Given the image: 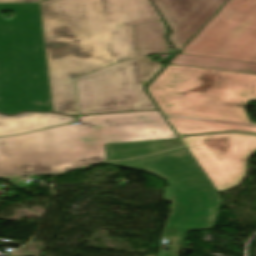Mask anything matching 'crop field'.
Masks as SVG:
<instances>
[{
	"label": "crop field",
	"mask_w": 256,
	"mask_h": 256,
	"mask_svg": "<svg viewBox=\"0 0 256 256\" xmlns=\"http://www.w3.org/2000/svg\"><path fill=\"white\" fill-rule=\"evenodd\" d=\"M79 121L0 138V177L58 173L103 162L104 144L177 138L158 110L88 115Z\"/></svg>",
	"instance_id": "crop-field-1"
},
{
	"label": "crop field",
	"mask_w": 256,
	"mask_h": 256,
	"mask_svg": "<svg viewBox=\"0 0 256 256\" xmlns=\"http://www.w3.org/2000/svg\"><path fill=\"white\" fill-rule=\"evenodd\" d=\"M0 113L53 111L39 3L0 4Z\"/></svg>",
	"instance_id": "crop-field-2"
},
{
	"label": "crop field",
	"mask_w": 256,
	"mask_h": 256,
	"mask_svg": "<svg viewBox=\"0 0 256 256\" xmlns=\"http://www.w3.org/2000/svg\"><path fill=\"white\" fill-rule=\"evenodd\" d=\"M145 90L163 115L256 125L244 111L254 75L167 65Z\"/></svg>",
	"instance_id": "crop-field-3"
},
{
	"label": "crop field",
	"mask_w": 256,
	"mask_h": 256,
	"mask_svg": "<svg viewBox=\"0 0 256 256\" xmlns=\"http://www.w3.org/2000/svg\"><path fill=\"white\" fill-rule=\"evenodd\" d=\"M112 164L144 170L169 181L175 203L163 237L174 239L162 256H179L187 231L212 229L222 200L185 147Z\"/></svg>",
	"instance_id": "crop-field-4"
},
{
	"label": "crop field",
	"mask_w": 256,
	"mask_h": 256,
	"mask_svg": "<svg viewBox=\"0 0 256 256\" xmlns=\"http://www.w3.org/2000/svg\"><path fill=\"white\" fill-rule=\"evenodd\" d=\"M54 112L77 114L73 79L83 75L74 0L40 2Z\"/></svg>",
	"instance_id": "crop-field-5"
},
{
	"label": "crop field",
	"mask_w": 256,
	"mask_h": 256,
	"mask_svg": "<svg viewBox=\"0 0 256 256\" xmlns=\"http://www.w3.org/2000/svg\"><path fill=\"white\" fill-rule=\"evenodd\" d=\"M180 54L256 63V0H229Z\"/></svg>",
	"instance_id": "crop-field-6"
},
{
	"label": "crop field",
	"mask_w": 256,
	"mask_h": 256,
	"mask_svg": "<svg viewBox=\"0 0 256 256\" xmlns=\"http://www.w3.org/2000/svg\"><path fill=\"white\" fill-rule=\"evenodd\" d=\"M81 114L156 108L142 89L137 60L76 79Z\"/></svg>",
	"instance_id": "crop-field-7"
},
{
	"label": "crop field",
	"mask_w": 256,
	"mask_h": 256,
	"mask_svg": "<svg viewBox=\"0 0 256 256\" xmlns=\"http://www.w3.org/2000/svg\"><path fill=\"white\" fill-rule=\"evenodd\" d=\"M186 148L217 193L241 183L256 135L226 133L182 137Z\"/></svg>",
	"instance_id": "crop-field-8"
},
{
	"label": "crop field",
	"mask_w": 256,
	"mask_h": 256,
	"mask_svg": "<svg viewBox=\"0 0 256 256\" xmlns=\"http://www.w3.org/2000/svg\"><path fill=\"white\" fill-rule=\"evenodd\" d=\"M85 74L137 57L132 26L105 32L100 0H75Z\"/></svg>",
	"instance_id": "crop-field-9"
},
{
	"label": "crop field",
	"mask_w": 256,
	"mask_h": 256,
	"mask_svg": "<svg viewBox=\"0 0 256 256\" xmlns=\"http://www.w3.org/2000/svg\"><path fill=\"white\" fill-rule=\"evenodd\" d=\"M226 1L227 0H153L172 31L168 39L176 49H181Z\"/></svg>",
	"instance_id": "crop-field-10"
},
{
	"label": "crop field",
	"mask_w": 256,
	"mask_h": 256,
	"mask_svg": "<svg viewBox=\"0 0 256 256\" xmlns=\"http://www.w3.org/2000/svg\"><path fill=\"white\" fill-rule=\"evenodd\" d=\"M105 30L158 20L148 0H101Z\"/></svg>",
	"instance_id": "crop-field-11"
},
{
	"label": "crop field",
	"mask_w": 256,
	"mask_h": 256,
	"mask_svg": "<svg viewBox=\"0 0 256 256\" xmlns=\"http://www.w3.org/2000/svg\"><path fill=\"white\" fill-rule=\"evenodd\" d=\"M73 119L74 117L45 113H23L14 117L0 115V136L24 133Z\"/></svg>",
	"instance_id": "crop-field-12"
},
{
	"label": "crop field",
	"mask_w": 256,
	"mask_h": 256,
	"mask_svg": "<svg viewBox=\"0 0 256 256\" xmlns=\"http://www.w3.org/2000/svg\"><path fill=\"white\" fill-rule=\"evenodd\" d=\"M138 57L169 52L162 20L133 26Z\"/></svg>",
	"instance_id": "crop-field-13"
},
{
	"label": "crop field",
	"mask_w": 256,
	"mask_h": 256,
	"mask_svg": "<svg viewBox=\"0 0 256 256\" xmlns=\"http://www.w3.org/2000/svg\"><path fill=\"white\" fill-rule=\"evenodd\" d=\"M182 146L179 139L128 142L105 145L107 161L135 158Z\"/></svg>",
	"instance_id": "crop-field-14"
},
{
	"label": "crop field",
	"mask_w": 256,
	"mask_h": 256,
	"mask_svg": "<svg viewBox=\"0 0 256 256\" xmlns=\"http://www.w3.org/2000/svg\"><path fill=\"white\" fill-rule=\"evenodd\" d=\"M169 64L256 75V64L177 55Z\"/></svg>",
	"instance_id": "crop-field-15"
},
{
	"label": "crop field",
	"mask_w": 256,
	"mask_h": 256,
	"mask_svg": "<svg viewBox=\"0 0 256 256\" xmlns=\"http://www.w3.org/2000/svg\"><path fill=\"white\" fill-rule=\"evenodd\" d=\"M165 117L170 122L172 127L175 129L177 134L213 132V131H225V130H241V131L256 132V126L209 122V121L168 117V116H165Z\"/></svg>",
	"instance_id": "crop-field-16"
},
{
	"label": "crop field",
	"mask_w": 256,
	"mask_h": 256,
	"mask_svg": "<svg viewBox=\"0 0 256 256\" xmlns=\"http://www.w3.org/2000/svg\"><path fill=\"white\" fill-rule=\"evenodd\" d=\"M142 85L144 86L160 69L159 61L152 62L150 58L138 60Z\"/></svg>",
	"instance_id": "crop-field-17"
},
{
	"label": "crop field",
	"mask_w": 256,
	"mask_h": 256,
	"mask_svg": "<svg viewBox=\"0 0 256 256\" xmlns=\"http://www.w3.org/2000/svg\"><path fill=\"white\" fill-rule=\"evenodd\" d=\"M164 190H165V194L163 196V199L165 201H172V192H171L170 188L165 187Z\"/></svg>",
	"instance_id": "crop-field-18"
},
{
	"label": "crop field",
	"mask_w": 256,
	"mask_h": 256,
	"mask_svg": "<svg viewBox=\"0 0 256 256\" xmlns=\"http://www.w3.org/2000/svg\"><path fill=\"white\" fill-rule=\"evenodd\" d=\"M40 0H0V3L2 2H36Z\"/></svg>",
	"instance_id": "crop-field-19"
},
{
	"label": "crop field",
	"mask_w": 256,
	"mask_h": 256,
	"mask_svg": "<svg viewBox=\"0 0 256 256\" xmlns=\"http://www.w3.org/2000/svg\"><path fill=\"white\" fill-rule=\"evenodd\" d=\"M1 201V200H0Z\"/></svg>",
	"instance_id": "crop-field-20"
}]
</instances>
